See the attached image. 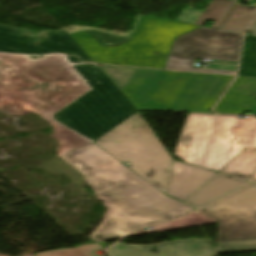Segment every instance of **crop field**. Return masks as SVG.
I'll use <instances>...</instances> for the list:
<instances>
[{
  "mask_svg": "<svg viewBox=\"0 0 256 256\" xmlns=\"http://www.w3.org/2000/svg\"><path fill=\"white\" fill-rule=\"evenodd\" d=\"M66 34L62 29L30 37L19 29L0 25V106L19 103L41 114L61 141L59 156L91 142L48 118L89 90L61 58L72 53L60 37ZM17 77L35 82V89L23 94L11 91L10 84ZM62 82L70 86L59 89Z\"/></svg>",
  "mask_w": 256,
  "mask_h": 256,
  "instance_id": "obj_1",
  "label": "crop field"
},
{
  "mask_svg": "<svg viewBox=\"0 0 256 256\" xmlns=\"http://www.w3.org/2000/svg\"><path fill=\"white\" fill-rule=\"evenodd\" d=\"M245 147L256 148V119L188 114L173 156L219 172Z\"/></svg>",
  "mask_w": 256,
  "mask_h": 256,
  "instance_id": "obj_4",
  "label": "crop field"
},
{
  "mask_svg": "<svg viewBox=\"0 0 256 256\" xmlns=\"http://www.w3.org/2000/svg\"><path fill=\"white\" fill-rule=\"evenodd\" d=\"M242 152V151H241ZM256 168V149L246 148L235 159H233L227 166H225L220 173L249 180Z\"/></svg>",
  "mask_w": 256,
  "mask_h": 256,
  "instance_id": "obj_13",
  "label": "crop field"
},
{
  "mask_svg": "<svg viewBox=\"0 0 256 256\" xmlns=\"http://www.w3.org/2000/svg\"><path fill=\"white\" fill-rule=\"evenodd\" d=\"M217 172L189 166L177 161L172 164L167 194L184 201Z\"/></svg>",
  "mask_w": 256,
  "mask_h": 256,
  "instance_id": "obj_9",
  "label": "crop field"
},
{
  "mask_svg": "<svg viewBox=\"0 0 256 256\" xmlns=\"http://www.w3.org/2000/svg\"><path fill=\"white\" fill-rule=\"evenodd\" d=\"M238 76L256 77V37H245Z\"/></svg>",
  "mask_w": 256,
  "mask_h": 256,
  "instance_id": "obj_16",
  "label": "crop field"
},
{
  "mask_svg": "<svg viewBox=\"0 0 256 256\" xmlns=\"http://www.w3.org/2000/svg\"><path fill=\"white\" fill-rule=\"evenodd\" d=\"M60 158L82 174L107 208L102 223L90 235L97 242L121 238L192 210L164 195L93 143Z\"/></svg>",
  "mask_w": 256,
  "mask_h": 256,
  "instance_id": "obj_2",
  "label": "crop field"
},
{
  "mask_svg": "<svg viewBox=\"0 0 256 256\" xmlns=\"http://www.w3.org/2000/svg\"><path fill=\"white\" fill-rule=\"evenodd\" d=\"M234 2L235 0H211L205 11L184 8L176 21L203 26L208 19L215 21L212 27L217 28Z\"/></svg>",
  "mask_w": 256,
  "mask_h": 256,
  "instance_id": "obj_12",
  "label": "crop field"
},
{
  "mask_svg": "<svg viewBox=\"0 0 256 256\" xmlns=\"http://www.w3.org/2000/svg\"><path fill=\"white\" fill-rule=\"evenodd\" d=\"M94 143L166 194L172 159L138 112Z\"/></svg>",
  "mask_w": 256,
  "mask_h": 256,
  "instance_id": "obj_5",
  "label": "crop field"
},
{
  "mask_svg": "<svg viewBox=\"0 0 256 256\" xmlns=\"http://www.w3.org/2000/svg\"><path fill=\"white\" fill-rule=\"evenodd\" d=\"M250 250H256V241L218 244L216 253L250 251Z\"/></svg>",
  "mask_w": 256,
  "mask_h": 256,
  "instance_id": "obj_19",
  "label": "crop field"
},
{
  "mask_svg": "<svg viewBox=\"0 0 256 256\" xmlns=\"http://www.w3.org/2000/svg\"><path fill=\"white\" fill-rule=\"evenodd\" d=\"M248 32H251L253 35H256V19L253 22V24L251 25L250 29L248 30Z\"/></svg>",
  "mask_w": 256,
  "mask_h": 256,
  "instance_id": "obj_20",
  "label": "crop field"
},
{
  "mask_svg": "<svg viewBox=\"0 0 256 256\" xmlns=\"http://www.w3.org/2000/svg\"><path fill=\"white\" fill-rule=\"evenodd\" d=\"M254 181H256V175H255V177H254V179H253Z\"/></svg>",
  "mask_w": 256,
  "mask_h": 256,
  "instance_id": "obj_21",
  "label": "crop field"
},
{
  "mask_svg": "<svg viewBox=\"0 0 256 256\" xmlns=\"http://www.w3.org/2000/svg\"><path fill=\"white\" fill-rule=\"evenodd\" d=\"M219 222L217 243L256 240V183L197 210Z\"/></svg>",
  "mask_w": 256,
  "mask_h": 256,
  "instance_id": "obj_7",
  "label": "crop field"
},
{
  "mask_svg": "<svg viewBox=\"0 0 256 256\" xmlns=\"http://www.w3.org/2000/svg\"><path fill=\"white\" fill-rule=\"evenodd\" d=\"M241 34L201 27L175 39L165 69L235 74L190 68L194 58L237 61Z\"/></svg>",
  "mask_w": 256,
  "mask_h": 256,
  "instance_id": "obj_6",
  "label": "crop field"
},
{
  "mask_svg": "<svg viewBox=\"0 0 256 256\" xmlns=\"http://www.w3.org/2000/svg\"><path fill=\"white\" fill-rule=\"evenodd\" d=\"M215 222H216L215 220L195 211L174 222L153 226L154 229L150 231H145L144 229H142L132 234L129 237L146 235V234H151L155 232H161V231H167V230H173V229H179V228H185V227H191V226H197V225H203V224H209V223H215Z\"/></svg>",
  "mask_w": 256,
  "mask_h": 256,
  "instance_id": "obj_15",
  "label": "crop field"
},
{
  "mask_svg": "<svg viewBox=\"0 0 256 256\" xmlns=\"http://www.w3.org/2000/svg\"><path fill=\"white\" fill-rule=\"evenodd\" d=\"M98 67L109 77V79L119 88L121 92L138 70L135 68L105 65H100Z\"/></svg>",
  "mask_w": 256,
  "mask_h": 256,
  "instance_id": "obj_17",
  "label": "crop field"
},
{
  "mask_svg": "<svg viewBox=\"0 0 256 256\" xmlns=\"http://www.w3.org/2000/svg\"><path fill=\"white\" fill-rule=\"evenodd\" d=\"M246 182V180L218 173L184 202L196 208Z\"/></svg>",
  "mask_w": 256,
  "mask_h": 256,
  "instance_id": "obj_11",
  "label": "crop field"
},
{
  "mask_svg": "<svg viewBox=\"0 0 256 256\" xmlns=\"http://www.w3.org/2000/svg\"><path fill=\"white\" fill-rule=\"evenodd\" d=\"M62 38L74 52L63 59L90 90L49 118L94 141L137 110L69 35Z\"/></svg>",
  "mask_w": 256,
  "mask_h": 256,
  "instance_id": "obj_3",
  "label": "crop field"
},
{
  "mask_svg": "<svg viewBox=\"0 0 256 256\" xmlns=\"http://www.w3.org/2000/svg\"><path fill=\"white\" fill-rule=\"evenodd\" d=\"M210 240L187 239L156 245L118 243L107 250L109 256H215Z\"/></svg>",
  "mask_w": 256,
  "mask_h": 256,
  "instance_id": "obj_8",
  "label": "crop field"
},
{
  "mask_svg": "<svg viewBox=\"0 0 256 256\" xmlns=\"http://www.w3.org/2000/svg\"><path fill=\"white\" fill-rule=\"evenodd\" d=\"M219 113L256 114V78L237 77L215 108Z\"/></svg>",
  "mask_w": 256,
  "mask_h": 256,
  "instance_id": "obj_10",
  "label": "crop field"
},
{
  "mask_svg": "<svg viewBox=\"0 0 256 256\" xmlns=\"http://www.w3.org/2000/svg\"><path fill=\"white\" fill-rule=\"evenodd\" d=\"M101 249L95 244L78 246L77 248L63 249L34 254V256H92L91 251Z\"/></svg>",
  "mask_w": 256,
  "mask_h": 256,
  "instance_id": "obj_18",
  "label": "crop field"
},
{
  "mask_svg": "<svg viewBox=\"0 0 256 256\" xmlns=\"http://www.w3.org/2000/svg\"><path fill=\"white\" fill-rule=\"evenodd\" d=\"M256 14V7H243L236 2L220 29L244 33Z\"/></svg>",
  "mask_w": 256,
  "mask_h": 256,
  "instance_id": "obj_14",
  "label": "crop field"
}]
</instances>
